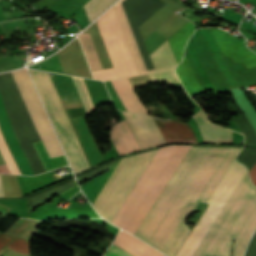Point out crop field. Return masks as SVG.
<instances>
[{"label": "crop field", "instance_id": "obj_18", "mask_svg": "<svg viewBox=\"0 0 256 256\" xmlns=\"http://www.w3.org/2000/svg\"><path fill=\"white\" fill-rule=\"evenodd\" d=\"M236 161L244 164L249 172L256 163V147H244L236 158ZM249 175L252 183L256 186V164L249 172Z\"/></svg>", "mask_w": 256, "mask_h": 256}, {"label": "crop field", "instance_id": "obj_12", "mask_svg": "<svg viewBox=\"0 0 256 256\" xmlns=\"http://www.w3.org/2000/svg\"><path fill=\"white\" fill-rule=\"evenodd\" d=\"M155 122L161 131L166 143L168 142H197L193 131L188 123L174 120H159Z\"/></svg>", "mask_w": 256, "mask_h": 256}, {"label": "crop field", "instance_id": "obj_21", "mask_svg": "<svg viewBox=\"0 0 256 256\" xmlns=\"http://www.w3.org/2000/svg\"><path fill=\"white\" fill-rule=\"evenodd\" d=\"M115 0H90L84 7L89 19V22L94 20L100 15L108 6H110Z\"/></svg>", "mask_w": 256, "mask_h": 256}, {"label": "crop field", "instance_id": "obj_20", "mask_svg": "<svg viewBox=\"0 0 256 256\" xmlns=\"http://www.w3.org/2000/svg\"><path fill=\"white\" fill-rule=\"evenodd\" d=\"M232 121L239 131L245 135V144H256V132L244 114L233 118Z\"/></svg>", "mask_w": 256, "mask_h": 256}, {"label": "crop field", "instance_id": "obj_13", "mask_svg": "<svg viewBox=\"0 0 256 256\" xmlns=\"http://www.w3.org/2000/svg\"><path fill=\"white\" fill-rule=\"evenodd\" d=\"M111 83L125 105L127 111L150 116V114L144 108L143 103L133 90L128 78L112 80Z\"/></svg>", "mask_w": 256, "mask_h": 256}, {"label": "crop field", "instance_id": "obj_28", "mask_svg": "<svg viewBox=\"0 0 256 256\" xmlns=\"http://www.w3.org/2000/svg\"><path fill=\"white\" fill-rule=\"evenodd\" d=\"M12 239V237L0 234V250Z\"/></svg>", "mask_w": 256, "mask_h": 256}, {"label": "crop field", "instance_id": "obj_1", "mask_svg": "<svg viewBox=\"0 0 256 256\" xmlns=\"http://www.w3.org/2000/svg\"><path fill=\"white\" fill-rule=\"evenodd\" d=\"M239 150L191 147L134 235L174 256L190 231L186 218L206 202Z\"/></svg>", "mask_w": 256, "mask_h": 256}, {"label": "crop field", "instance_id": "obj_5", "mask_svg": "<svg viewBox=\"0 0 256 256\" xmlns=\"http://www.w3.org/2000/svg\"><path fill=\"white\" fill-rule=\"evenodd\" d=\"M45 108L57 132L74 173L88 168V163L61 104L48 73L29 70Z\"/></svg>", "mask_w": 256, "mask_h": 256}, {"label": "crop field", "instance_id": "obj_26", "mask_svg": "<svg viewBox=\"0 0 256 256\" xmlns=\"http://www.w3.org/2000/svg\"><path fill=\"white\" fill-rule=\"evenodd\" d=\"M104 256H132L115 245H111Z\"/></svg>", "mask_w": 256, "mask_h": 256}, {"label": "crop field", "instance_id": "obj_30", "mask_svg": "<svg viewBox=\"0 0 256 256\" xmlns=\"http://www.w3.org/2000/svg\"><path fill=\"white\" fill-rule=\"evenodd\" d=\"M3 196V193H2V185H1V177H0V197Z\"/></svg>", "mask_w": 256, "mask_h": 256}, {"label": "crop field", "instance_id": "obj_24", "mask_svg": "<svg viewBox=\"0 0 256 256\" xmlns=\"http://www.w3.org/2000/svg\"><path fill=\"white\" fill-rule=\"evenodd\" d=\"M120 159L121 158H118V159H116V160H114V161H112V162H110V163H108V164H106L104 166L101 165L102 167H99V168H97V169H95L93 171L90 170L91 172L88 171L89 173H86V174H84V175H82L80 177L77 176L78 177L77 179H78L79 183H81V182L91 178L92 176H94V175H96V174H98V173H100V172H102V171H104L106 169H110V168L116 167L118 165Z\"/></svg>", "mask_w": 256, "mask_h": 256}, {"label": "crop field", "instance_id": "obj_22", "mask_svg": "<svg viewBox=\"0 0 256 256\" xmlns=\"http://www.w3.org/2000/svg\"><path fill=\"white\" fill-rule=\"evenodd\" d=\"M0 152L12 173L21 174L0 132Z\"/></svg>", "mask_w": 256, "mask_h": 256}, {"label": "crop field", "instance_id": "obj_3", "mask_svg": "<svg viewBox=\"0 0 256 256\" xmlns=\"http://www.w3.org/2000/svg\"><path fill=\"white\" fill-rule=\"evenodd\" d=\"M174 147L175 145H169L159 148L111 223L122 228ZM189 148L190 146L176 145L167 161L151 183L150 187L123 226V229L134 234Z\"/></svg>", "mask_w": 256, "mask_h": 256}, {"label": "crop field", "instance_id": "obj_17", "mask_svg": "<svg viewBox=\"0 0 256 256\" xmlns=\"http://www.w3.org/2000/svg\"><path fill=\"white\" fill-rule=\"evenodd\" d=\"M77 183L75 180L71 179L68 180L64 183H61L59 185H56L54 187H51L47 190H44L42 192H39L35 195H32L29 197V201H30V211L36 206L39 205L47 200H49V198L54 195V194H58L61 195L65 192H67L68 190H70L71 188H73L74 186H76Z\"/></svg>", "mask_w": 256, "mask_h": 256}, {"label": "crop field", "instance_id": "obj_23", "mask_svg": "<svg viewBox=\"0 0 256 256\" xmlns=\"http://www.w3.org/2000/svg\"><path fill=\"white\" fill-rule=\"evenodd\" d=\"M153 83L166 81L167 84L180 82L174 72V70L166 71L162 73L149 74Z\"/></svg>", "mask_w": 256, "mask_h": 256}, {"label": "crop field", "instance_id": "obj_4", "mask_svg": "<svg viewBox=\"0 0 256 256\" xmlns=\"http://www.w3.org/2000/svg\"><path fill=\"white\" fill-rule=\"evenodd\" d=\"M156 150L122 158L111 178L94 202L101 216L111 222Z\"/></svg>", "mask_w": 256, "mask_h": 256}, {"label": "crop field", "instance_id": "obj_19", "mask_svg": "<svg viewBox=\"0 0 256 256\" xmlns=\"http://www.w3.org/2000/svg\"><path fill=\"white\" fill-rule=\"evenodd\" d=\"M86 57L92 70L102 68L95 52L92 40L89 34L81 33L79 36Z\"/></svg>", "mask_w": 256, "mask_h": 256}, {"label": "crop field", "instance_id": "obj_25", "mask_svg": "<svg viewBox=\"0 0 256 256\" xmlns=\"http://www.w3.org/2000/svg\"><path fill=\"white\" fill-rule=\"evenodd\" d=\"M28 241L21 240L16 238L13 242H11L6 248L13 249L22 253L29 254Z\"/></svg>", "mask_w": 256, "mask_h": 256}, {"label": "crop field", "instance_id": "obj_10", "mask_svg": "<svg viewBox=\"0 0 256 256\" xmlns=\"http://www.w3.org/2000/svg\"><path fill=\"white\" fill-rule=\"evenodd\" d=\"M123 115L133 132L141 150L165 144L153 118L123 112Z\"/></svg>", "mask_w": 256, "mask_h": 256}, {"label": "crop field", "instance_id": "obj_7", "mask_svg": "<svg viewBox=\"0 0 256 256\" xmlns=\"http://www.w3.org/2000/svg\"><path fill=\"white\" fill-rule=\"evenodd\" d=\"M247 170L232 162L221 181L207 200L209 204L193 231L187 237L176 256H192L209 228L241 182Z\"/></svg>", "mask_w": 256, "mask_h": 256}, {"label": "crop field", "instance_id": "obj_9", "mask_svg": "<svg viewBox=\"0 0 256 256\" xmlns=\"http://www.w3.org/2000/svg\"><path fill=\"white\" fill-rule=\"evenodd\" d=\"M11 73L50 157L64 154L26 69Z\"/></svg>", "mask_w": 256, "mask_h": 256}, {"label": "crop field", "instance_id": "obj_15", "mask_svg": "<svg viewBox=\"0 0 256 256\" xmlns=\"http://www.w3.org/2000/svg\"><path fill=\"white\" fill-rule=\"evenodd\" d=\"M113 244L123 248L134 256H165L123 231H120Z\"/></svg>", "mask_w": 256, "mask_h": 256}, {"label": "crop field", "instance_id": "obj_14", "mask_svg": "<svg viewBox=\"0 0 256 256\" xmlns=\"http://www.w3.org/2000/svg\"><path fill=\"white\" fill-rule=\"evenodd\" d=\"M111 141L118 155L139 151L140 148L126 121L117 124L112 130Z\"/></svg>", "mask_w": 256, "mask_h": 256}, {"label": "crop field", "instance_id": "obj_27", "mask_svg": "<svg viewBox=\"0 0 256 256\" xmlns=\"http://www.w3.org/2000/svg\"><path fill=\"white\" fill-rule=\"evenodd\" d=\"M245 256H256V233L247 246Z\"/></svg>", "mask_w": 256, "mask_h": 256}, {"label": "crop field", "instance_id": "obj_16", "mask_svg": "<svg viewBox=\"0 0 256 256\" xmlns=\"http://www.w3.org/2000/svg\"><path fill=\"white\" fill-rule=\"evenodd\" d=\"M150 57L156 71L171 69L177 65L168 41L162 44Z\"/></svg>", "mask_w": 256, "mask_h": 256}, {"label": "crop field", "instance_id": "obj_8", "mask_svg": "<svg viewBox=\"0 0 256 256\" xmlns=\"http://www.w3.org/2000/svg\"><path fill=\"white\" fill-rule=\"evenodd\" d=\"M97 24L114 68L92 71L94 77L106 80L139 74L114 8Z\"/></svg>", "mask_w": 256, "mask_h": 256}, {"label": "crop field", "instance_id": "obj_6", "mask_svg": "<svg viewBox=\"0 0 256 256\" xmlns=\"http://www.w3.org/2000/svg\"><path fill=\"white\" fill-rule=\"evenodd\" d=\"M0 93L15 136L34 174L36 175L45 172V169L31 143L39 141L40 138L10 72L0 75Z\"/></svg>", "mask_w": 256, "mask_h": 256}, {"label": "crop field", "instance_id": "obj_29", "mask_svg": "<svg viewBox=\"0 0 256 256\" xmlns=\"http://www.w3.org/2000/svg\"><path fill=\"white\" fill-rule=\"evenodd\" d=\"M0 173H10L7 165L0 166Z\"/></svg>", "mask_w": 256, "mask_h": 256}, {"label": "crop field", "instance_id": "obj_2", "mask_svg": "<svg viewBox=\"0 0 256 256\" xmlns=\"http://www.w3.org/2000/svg\"><path fill=\"white\" fill-rule=\"evenodd\" d=\"M256 229V188L245 176L193 256H241Z\"/></svg>", "mask_w": 256, "mask_h": 256}, {"label": "crop field", "instance_id": "obj_11", "mask_svg": "<svg viewBox=\"0 0 256 256\" xmlns=\"http://www.w3.org/2000/svg\"><path fill=\"white\" fill-rule=\"evenodd\" d=\"M192 117L200 128L204 143L232 144L231 131L211 123L202 109Z\"/></svg>", "mask_w": 256, "mask_h": 256}]
</instances>
